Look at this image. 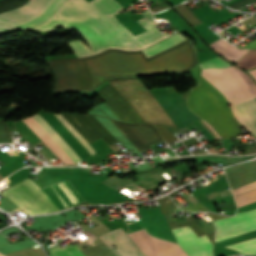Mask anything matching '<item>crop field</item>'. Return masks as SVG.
Segmentation results:
<instances>
[{"instance_id":"18","label":"crop field","mask_w":256,"mask_h":256,"mask_svg":"<svg viewBox=\"0 0 256 256\" xmlns=\"http://www.w3.org/2000/svg\"><path fill=\"white\" fill-rule=\"evenodd\" d=\"M237 65L247 69L256 65V50H250L248 54L236 62Z\"/></svg>"},{"instance_id":"13","label":"crop field","mask_w":256,"mask_h":256,"mask_svg":"<svg viewBox=\"0 0 256 256\" xmlns=\"http://www.w3.org/2000/svg\"><path fill=\"white\" fill-rule=\"evenodd\" d=\"M215 51L231 60L232 62H236L240 57H242L248 50L242 49L239 50L236 47L228 44L222 38L209 44Z\"/></svg>"},{"instance_id":"11","label":"crop field","mask_w":256,"mask_h":256,"mask_svg":"<svg viewBox=\"0 0 256 256\" xmlns=\"http://www.w3.org/2000/svg\"><path fill=\"white\" fill-rule=\"evenodd\" d=\"M172 231L178 244L189 256H213V245L206 235L198 238L189 227L173 229Z\"/></svg>"},{"instance_id":"14","label":"crop field","mask_w":256,"mask_h":256,"mask_svg":"<svg viewBox=\"0 0 256 256\" xmlns=\"http://www.w3.org/2000/svg\"><path fill=\"white\" fill-rule=\"evenodd\" d=\"M184 40H186V39H184L183 37H181L179 34L176 33V34L170 36L169 38L143 50V52L145 53V55L147 57H149V56H152L160 51H163L177 43H180Z\"/></svg>"},{"instance_id":"1","label":"crop field","mask_w":256,"mask_h":256,"mask_svg":"<svg viewBox=\"0 0 256 256\" xmlns=\"http://www.w3.org/2000/svg\"><path fill=\"white\" fill-rule=\"evenodd\" d=\"M46 63L54 76L53 91H93L109 78L188 71L197 59L187 40L150 58L142 51L108 50L91 57Z\"/></svg>"},{"instance_id":"9","label":"crop field","mask_w":256,"mask_h":256,"mask_svg":"<svg viewBox=\"0 0 256 256\" xmlns=\"http://www.w3.org/2000/svg\"><path fill=\"white\" fill-rule=\"evenodd\" d=\"M216 241L256 230V210L238 213L233 217L213 221Z\"/></svg>"},{"instance_id":"5","label":"crop field","mask_w":256,"mask_h":256,"mask_svg":"<svg viewBox=\"0 0 256 256\" xmlns=\"http://www.w3.org/2000/svg\"><path fill=\"white\" fill-rule=\"evenodd\" d=\"M0 194L29 214L56 212L85 202L68 180L40 189L27 178Z\"/></svg>"},{"instance_id":"24","label":"crop field","mask_w":256,"mask_h":256,"mask_svg":"<svg viewBox=\"0 0 256 256\" xmlns=\"http://www.w3.org/2000/svg\"><path fill=\"white\" fill-rule=\"evenodd\" d=\"M16 28L10 27L6 24L0 23V33L6 32V31H10Z\"/></svg>"},{"instance_id":"15","label":"crop field","mask_w":256,"mask_h":256,"mask_svg":"<svg viewBox=\"0 0 256 256\" xmlns=\"http://www.w3.org/2000/svg\"><path fill=\"white\" fill-rule=\"evenodd\" d=\"M255 156H246V157H225L220 155H205V156H196V157H182V159H193L199 161H212V162H220L224 165H228L231 163H235L238 161L254 158Z\"/></svg>"},{"instance_id":"2","label":"crop field","mask_w":256,"mask_h":256,"mask_svg":"<svg viewBox=\"0 0 256 256\" xmlns=\"http://www.w3.org/2000/svg\"><path fill=\"white\" fill-rule=\"evenodd\" d=\"M123 9L115 0H92L89 3L68 0L49 21L34 29L46 31L58 26L75 29L88 40L93 52L79 40L68 42L77 57L100 53L108 48L140 50L170 35L158 31L148 11L142 13L145 18L138 20L148 31L134 36L112 15Z\"/></svg>"},{"instance_id":"19","label":"crop field","mask_w":256,"mask_h":256,"mask_svg":"<svg viewBox=\"0 0 256 256\" xmlns=\"http://www.w3.org/2000/svg\"><path fill=\"white\" fill-rule=\"evenodd\" d=\"M234 198H235V201H236V204L238 207L255 202L256 201V190L243 193L241 195L235 196Z\"/></svg>"},{"instance_id":"16","label":"crop field","mask_w":256,"mask_h":256,"mask_svg":"<svg viewBox=\"0 0 256 256\" xmlns=\"http://www.w3.org/2000/svg\"><path fill=\"white\" fill-rule=\"evenodd\" d=\"M55 251L60 255V256H84V254L79 250V248L74 244V245H66L63 248L59 247L58 245L53 247ZM51 248L47 252L49 256H59L54 249Z\"/></svg>"},{"instance_id":"23","label":"crop field","mask_w":256,"mask_h":256,"mask_svg":"<svg viewBox=\"0 0 256 256\" xmlns=\"http://www.w3.org/2000/svg\"><path fill=\"white\" fill-rule=\"evenodd\" d=\"M252 189H256V182H253V183L247 184L245 186L233 189L232 190L233 196L238 195V194L243 193V192H246V191H249V190H252Z\"/></svg>"},{"instance_id":"22","label":"crop field","mask_w":256,"mask_h":256,"mask_svg":"<svg viewBox=\"0 0 256 256\" xmlns=\"http://www.w3.org/2000/svg\"><path fill=\"white\" fill-rule=\"evenodd\" d=\"M203 125H205L206 126V124L205 123H203L202 121H200ZM199 121H197V122H194V123H192L194 126H196L207 138H208V140H209V142H211V141H215L218 137H217V135H216V139H215V135L213 134V130L211 129V127L207 124V126L213 131H211L207 126V128H208V130L214 135H212L208 130H207V128L206 127H204L201 123H200ZM219 139V138H218ZM217 139V140H218Z\"/></svg>"},{"instance_id":"8","label":"crop field","mask_w":256,"mask_h":256,"mask_svg":"<svg viewBox=\"0 0 256 256\" xmlns=\"http://www.w3.org/2000/svg\"><path fill=\"white\" fill-rule=\"evenodd\" d=\"M60 122L77 138V140L93 155L96 152L89 146V144L76 132V130L65 120L60 113H53ZM38 126L53 140V142L68 156V158L74 163H79L70 152L56 139V137L42 124V122L36 117H31ZM25 118L23 121L33 130V132L54 152V154L64 163L73 164L67 156L52 142V140L37 126V124L31 119Z\"/></svg>"},{"instance_id":"6","label":"crop field","mask_w":256,"mask_h":256,"mask_svg":"<svg viewBox=\"0 0 256 256\" xmlns=\"http://www.w3.org/2000/svg\"><path fill=\"white\" fill-rule=\"evenodd\" d=\"M188 105L191 111L205 119L219 136L227 138L239 134V124L231 115L229 106L221 94L202 79L189 94Z\"/></svg>"},{"instance_id":"12","label":"crop field","mask_w":256,"mask_h":256,"mask_svg":"<svg viewBox=\"0 0 256 256\" xmlns=\"http://www.w3.org/2000/svg\"><path fill=\"white\" fill-rule=\"evenodd\" d=\"M117 256H144L129 239L124 230L119 227L99 236Z\"/></svg>"},{"instance_id":"26","label":"crop field","mask_w":256,"mask_h":256,"mask_svg":"<svg viewBox=\"0 0 256 256\" xmlns=\"http://www.w3.org/2000/svg\"><path fill=\"white\" fill-rule=\"evenodd\" d=\"M245 48H256V40L246 45Z\"/></svg>"},{"instance_id":"3","label":"crop field","mask_w":256,"mask_h":256,"mask_svg":"<svg viewBox=\"0 0 256 256\" xmlns=\"http://www.w3.org/2000/svg\"><path fill=\"white\" fill-rule=\"evenodd\" d=\"M132 105L145 122L172 128H183L200 120L186 105V96L191 89L177 93L173 86L160 87L150 91L139 80H121L110 82Z\"/></svg>"},{"instance_id":"4","label":"crop field","mask_w":256,"mask_h":256,"mask_svg":"<svg viewBox=\"0 0 256 256\" xmlns=\"http://www.w3.org/2000/svg\"><path fill=\"white\" fill-rule=\"evenodd\" d=\"M201 78L219 91L228 105L256 96L253 81L233 66L202 69ZM230 106L237 121L256 137V97Z\"/></svg>"},{"instance_id":"20","label":"crop field","mask_w":256,"mask_h":256,"mask_svg":"<svg viewBox=\"0 0 256 256\" xmlns=\"http://www.w3.org/2000/svg\"><path fill=\"white\" fill-rule=\"evenodd\" d=\"M180 12L193 26L202 23L197 17H195L191 11L183 4L176 6L175 8Z\"/></svg>"},{"instance_id":"21","label":"crop field","mask_w":256,"mask_h":256,"mask_svg":"<svg viewBox=\"0 0 256 256\" xmlns=\"http://www.w3.org/2000/svg\"><path fill=\"white\" fill-rule=\"evenodd\" d=\"M201 68H213V67H229L230 64L223 61L221 58L216 57L212 60L200 64Z\"/></svg>"},{"instance_id":"25","label":"crop field","mask_w":256,"mask_h":256,"mask_svg":"<svg viewBox=\"0 0 256 256\" xmlns=\"http://www.w3.org/2000/svg\"><path fill=\"white\" fill-rule=\"evenodd\" d=\"M165 8H167V5L165 3H163V4L159 5V6H156V7L150 8V9L153 12H155V11H160V10L165 9Z\"/></svg>"},{"instance_id":"10","label":"crop field","mask_w":256,"mask_h":256,"mask_svg":"<svg viewBox=\"0 0 256 256\" xmlns=\"http://www.w3.org/2000/svg\"><path fill=\"white\" fill-rule=\"evenodd\" d=\"M112 122L139 151L145 150L151 147L150 145L163 140L156 128L150 124Z\"/></svg>"},{"instance_id":"7","label":"crop field","mask_w":256,"mask_h":256,"mask_svg":"<svg viewBox=\"0 0 256 256\" xmlns=\"http://www.w3.org/2000/svg\"><path fill=\"white\" fill-rule=\"evenodd\" d=\"M65 1L66 0H53L52 2L51 0H30L19 9L0 14V22L14 26L38 15L51 2L38 16L25 23L14 26L20 29H31L47 21Z\"/></svg>"},{"instance_id":"17","label":"crop field","mask_w":256,"mask_h":256,"mask_svg":"<svg viewBox=\"0 0 256 256\" xmlns=\"http://www.w3.org/2000/svg\"><path fill=\"white\" fill-rule=\"evenodd\" d=\"M241 252V254H256V238L225 246Z\"/></svg>"}]
</instances>
